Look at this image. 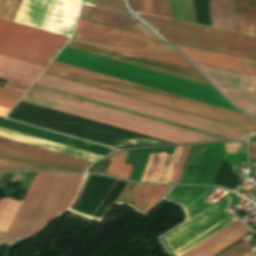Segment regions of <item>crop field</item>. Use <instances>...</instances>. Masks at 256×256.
I'll list each match as a JSON object with an SVG mask.
<instances>
[{
  "mask_svg": "<svg viewBox=\"0 0 256 256\" xmlns=\"http://www.w3.org/2000/svg\"><path fill=\"white\" fill-rule=\"evenodd\" d=\"M59 92L60 91H58V90H54L51 88H47V87H43V86L34 84L31 87V89L28 91V93L35 95L33 97V99L31 101H29V100L22 98L21 100L29 102V103L37 104L40 106H44L47 108H51L54 110L62 111L65 113H69L72 115L81 116V117H85V118L99 121L102 123L110 124L113 126H117L120 128H124L127 130H131L134 132H138V133L145 134L148 136L156 137V138L163 139V140L170 141V142L177 143V144H190V143L217 142V141L232 140L229 138H225V137L222 138L221 136H218V135H214V134L200 131L197 129L189 128V127L175 124L172 122L164 121V120L150 117L147 115H143L140 113L132 112V111L118 108L115 106H111L108 104H104V103H100V102L93 101L90 99H86L83 97L75 96V95L68 94L65 92H60V94H64L67 96H71L74 98L92 102L95 104L103 105L106 107H110L113 109H117L120 111H124L127 113H131L134 115H138L141 117H145L148 119L166 123L169 125H173L176 127H180V128H184V129L198 132L201 134H205L208 136H212L215 138H219V139L222 138L221 140L215 139L212 137H208V136L194 133L191 131H187L184 129L176 128L173 126H169L166 124H162L159 122H155L152 120H148L145 118L127 114V113L120 112L117 110L106 108L103 106L95 105L92 103H88L85 101H81L78 99L60 95V94H58Z\"/></svg>",
  "mask_w": 256,
  "mask_h": 256,
  "instance_id": "obj_1",
  "label": "crop field"
},
{
  "mask_svg": "<svg viewBox=\"0 0 256 256\" xmlns=\"http://www.w3.org/2000/svg\"><path fill=\"white\" fill-rule=\"evenodd\" d=\"M45 73L256 131V122L241 113L119 80L70 65L53 61Z\"/></svg>",
  "mask_w": 256,
  "mask_h": 256,
  "instance_id": "obj_2",
  "label": "crop field"
},
{
  "mask_svg": "<svg viewBox=\"0 0 256 256\" xmlns=\"http://www.w3.org/2000/svg\"><path fill=\"white\" fill-rule=\"evenodd\" d=\"M7 117L119 149L176 145L22 101Z\"/></svg>",
  "mask_w": 256,
  "mask_h": 256,
  "instance_id": "obj_3",
  "label": "crop field"
},
{
  "mask_svg": "<svg viewBox=\"0 0 256 256\" xmlns=\"http://www.w3.org/2000/svg\"><path fill=\"white\" fill-rule=\"evenodd\" d=\"M83 174L37 173L8 233L35 234L66 209Z\"/></svg>",
  "mask_w": 256,
  "mask_h": 256,
  "instance_id": "obj_4",
  "label": "crop field"
},
{
  "mask_svg": "<svg viewBox=\"0 0 256 256\" xmlns=\"http://www.w3.org/2000/svg\"><path fill=\"white\" fill-rule=\"evenodd\" d=\"M53 77L55 78L52 82L39 78L36 84L60 89L236 140L248 139L255 134L254 132L172 110L127 96L119 95L74 81L66 80L56 76Z\"/></svg>",
  "mask_w": 256,
  "mask_h": 256,
  "instance_id": "obj_5",
  "label": "crop field"
},
{
  "mask_svg": "<svg viewBox=\"0 0 256 256\" xmlns=\"http://www.w3.org/2000/svg\"><path fill=\"white\" fill-rule=\"evenodd\" d=\"M143 17L153 25L159 27L161 31L159 30V28L158 30L162 32L165 36H167L175 44L214 52L215 41H216V49H217V52L219 53L256 60V38L214 30L215 41H214V47H213V42L199 39V38H205V39L213 40L212 32H211V29L209 28H204V27H199V26H194V25H189L184 23H178V22H173V21H168V20H163V19H158V18H153L148 16H143ZM152 24L150 25L153 27ZM172 30L185 32L189 34H195V35H198L199 38L193 39V38H190L191 35L189 34L175 32ZM162 33L160 34L163 35ZM214 33H213V37H214ZM167 37L165 38L169 40ZM191 37L196 38V36L194 35H192ZM216 49H215V52H216Z\"/></svg>",
  "mask_w": 256,
  "mask_h": 256,
  "instance_id": "obj_6",
  "label": "crop field"
},
{
  "mask_svg": "<svg viewBox=\"0 0 256 256\" xmlns=\"http://www.w3.org/2000/svg\"><path fill=\"white\" fill-rule=\"evenodd\" d=\"M69 38L0 19V54L47 67ZM57 55V54H56ZM55 55V56H56Z\"/></svg>",
  "mask_w": 256,
  "mask_h": 256,
  "instance_id": "obj_7",
  "label": "crop field"
},
{
  "mask_svg": "<svg viewBox=\"0 0 256 256\" xmlns=\"http://www.w3.org/2000/svg\"><path fill=\"white\" fill-rule=\"evenodd\" d=\"M75 39L83 41V42H87V43H90V44H94V45H97V46H101V47H104V48L119 51V52H122V53H126V54H129V55H133V56H136V57H140V58H143V59H147V60H150V61H154V62H157V63H161V64H164V65L172 66V67H175V68H179V69H182V70H186V71H189V72L199 74L188 63H184V62H181V61H177V60H174V59H170V58L163 57V56H160V55H156V54H153V53H149V52H146V51L135 49V48H132V47L121 45V44L114 43V42H111V41H107V40L100 39V38H97V37H93V36L86 35V34H83V33L78 32ZM76 40H74L72 42L70 47H74V48L81 49V50H84V51H88V52H91V53L99 54V55H102V56H106V57H109V58H113V59H116V60H120V61H123V62L130 63V64H134V65H137V66L145 67V68H148V69H152V70H155V71H159V72H162V73H166V74H169V75H173V76H176V77H180V78H183V79H187V80H191V81H194V82H198V83H201V84L211 86L200 75H196V74L189 73V72H186V71H182V70H179V69H175V68H172V67L164 66V65H161V64H157V63H154V62H150V61H147V60H143V59H140V58H136V57H133V56H129V55L122 54V53L115 52V51L108 50V49H104V48H101V47H97V46L90 45V44L83 43V42L76 41Z\"/></svg>",
  "mask_w": 256,
  "mask_h": 256,
  "instance_id": "obj_8",
  "label": "crop field"
},
{
  "mask_svg": "<svg viewBox=\"0 0 256 256\" xmlns=\"http://www.w3.org/2000/svg\"><path fill=\"white\" fill-rule=\"evenodd\" d=\"M80 0H23L15 22L70 36Z\"/></svg>",
  "mask_w": 256,
  "mask_h": 256,
  "instance_id": "obj_9",
  "label": "crop field"
},
{
  "mask_svg": "<svg viewBox=\"0 0 256 256\" xmlns=\"http://www.w3.org/2000/svg\"><path fill=\"white\" fill-rule=\"evenodd\" d=\"M228 199L182 225L163 238L169 251L179 256L236 221L225 211Z\"/></svg>",
  "mask_w": 256,
  "mask_h": 256,
  "instance_id": "obj_10",
  "label": "crop field"
},
{
  "mask_svg": "<svg viewBox=\"0 0 256 256\" xmlns=\"http://www.w3.org/2000/svg\"><path fill=\"white\" fill-rule=\"evenodd\" d=\"M198 67L234 104L256 116V77Z\"/></svg>",
  "mask_w": 256,
  "mask_h": 256,
  "instance_id": "obj_11",
  "label": "crop field"
},
{
  "mask_svg": "<svg viewBox=\"0 0 256 256\" xmlns=\"http://www.w3.org/2000/svg\"><path fill=\"white\" fill-rule=\"evenodd\" d=\"M76 31L187 62L167 44L156 40L148 39L80 19L78 21Z\"/></svg>",
  "mask_w": 256,
  "mask_h": 256,
  "instance_id": "obj_12",
  "label": "crop field"
},
{
  "mask_svg": "<svg viewBox=\"0 0 256 256\" xmlns=\"http://www.w3.org/2000/svg\"><path fill=\"white\" fill-rule=\"evenodd\" d=\"M39 67V65L0 55V77L9 80L4 88L25 93L45 69L41 66L38 72Z\"/></svg>",
  "mask_w": 256,
  "mask_h": 256,
  "instance_id": "obj_13",
  "label": "crop field"
},
{
  "mask_svg": "<svg viewBox=\"0 0 256 256\" xmlns=\"http://www.w3.org/2000/svg\"><path fill=\"white\" fill-rule=\"evenodd\" d=\"M175 46V45H174ZM177 47L181 52H183L189 59H191L194 64L223 69V70H229L249 75H255L256 76V62L175 46Z\"/></svg>",
  "mask_w": 256,
  "mask_h": 256,
  "instance_id": "obj_14",
  "label": "crop field"
},
{
  "mask_svg": "<svg viewBox=\"0 0 256 256\" xmlns=\"http://www.w3.org/2000/svg\"><path fill=\"white\" fill-rule=\"evenodd\" d=\"M213 190L215 189L207 187L174 186L165 199L182 205L188 215V220H190L232 194L231 192H228V194L219 201L206 204L204 197Z\"/></svg>",
  "mask_w": 256,
  "mask_h": 256,
  "instance_id": "obj_15",
  "label": "crop field"
},
{
  "mask_svg": "<svg viewBox=\"0 0 256 256\" xmlns=\"http://www.w3.org/2000/svg\"><path fill=\"white\" fill-rule=\"evenodd\" d=\"M79 17L159 39L157 36L151 35L150 31L140 25L134 18L107 12L84 4L82 5Z\"/></svg>",
  "mask_w": 256,
  "mask_h": 256,
  "instance_id": "obj_16",
  "label": "crop field"
},
{
  "mask_svg": "<svg viewBox=\"0 0 256 256\" xmlns=\"http://www.w3.org/2000/svg\"><path fill=\"white\" fill-rule=\"evenodd\" d=\"M0 146L15 150V151L23 152L26 154H30L33 156H37L40 158H44L47 160H51L54 162H58L61 164L76 167L79 169H83V170H85L87 167L90 166V164H92V162H88V161L81 160L78 158L70 157L67 155H63V154L49 151L46 149L38 148V147L24 144L21 142H17L14 140L6 139L3 137H0Z\"/></svg>",
  "mask_w": 256,
  "mask_h": 256,
  "instance_id": "obj_17",
  "label": "crop field"
},
{
  "mask_svg": "<svg viewBox=\"0 0 256 256\" xmlns=\"http://www.w3.org/2000/svg\"><path fill=\"white\" fill-rule=\"evenodd\" d=\"M0 136L10 138V139H14V140H17V141H21V142H24V143H28V144H31V145H35V146H38V147L46 148V149L53 150V151H56V152H60V153H63V154H67V155H70V156L78 157V158L85 159V160L92 161V162H94V161L103 157V156H99V155H96V154H92V153H88V152H85V151H81V150L73 149V148H70V147L62 146V145H59V144H55V143H52V142H48V141H45V140H41V139H38V138L23 135V134H20V133H16V132H13V131L5 130V129H2V128H0Z\"/></svg>",
  "mask_w": 256,
  "mask_h": 256,
  "instance_id": "obj_18",
  "label": "crop field"
},
{
  "mask_svg": "<svg viewBox=\"0 0 256 256\" xmlns=\"http://www.w3.org/2000/svg\"><path fill=\"white\" fill-rule=\"evenodd\" d=\"M167 191L162 186L136 184L124 203L146 214Z\"/></svg>",
  "mask_w": 256,
  "mask_h": 256,
  "instance_id": "obj_19",
  "label": "crop field"
},
{
  "mask_svg": "<svg viewBox=\"0 0 256 256\" xmlns=\"http://www.w3.org/2000/svg\"><path fill=\"white\" fill-rule=\"evenodd\" d=\"M0 159L37 168L40 170H76L83 171L76 168L68 167L51 161L43 160L33 156L25 155L8 149L0 148Z\"/></svg>",
  "mask_w": 256,
  "mask_h": 256,
  "instance_id": "obj_20",
  "label": "crop field"
},
{
  "mask_svg": "<svg viewBox=\"0 0 256 256\" xmlns=\"http://www.w3.org/2000/svg\"><path fill=\"white\" fill-rule=\"evenodd\" d=\"M211 10L213 27L236 31L233 0H211Z\"/></svg>",
  "mask_w": 256,
  "mask_h": 256,
  "instance_id": "obj_21",
  "label": "crop field"
},
{
  "mask_svg": "<svg viewBox=\"0 0 256 256\" xmlns=\"http://www.w3.org/2000/svg\"><path fill=\"white\" fill-rule=\"evenodd\" d=\"M236 26L237 31L256 35V7H248L247 0H244L245 16H246V28H245V16L243 0H234Z\"/></svg>",
  "mask_w": 256,
  "mask_h": 256,
  "instance_id": "obj_22",
  "label": "crop field"
},
{
  "mask_svg": "<svg viewBox=\"0 0 256 256\" xmlns=\"http://www.w3.org/2000/svg\"><path fill=\"white\" fill-rule=\"evenodd\" d=\"M249 233L250 229L243 224L194 256H213Z\"/></svg>",
  "mask_w": 256,
  "mask_h": 256,
  "instance_id": "obj_23",
  "label": "crop field"
},
{
  "mask_svg": "<svg viewBox=\"0 0 256 256\" xmlns=\"http://www.w3.org/2000/svg\"><path fill=\"white\" fill-rule=\"evenodd\" d=\"M127 1L132 7L133 11H137V12L138 10L143 11L142 0H127ZM143 4H144V12L139 11L141 13L150 14V6H151V13L172 17L170 0H150V6H149V0H143ZM159 15H156V16H159ZM164 16H160V17H164ZM170 17H165V18H170Z\"/></svg>",
  "mask_w": 256,
  "mask_h": 256,
  "instance_id": "obj_24",
  "label": "crop field"
},
{
  "mask_svg": "<svg viewBox=\"0 0 256 256\" xmlns=\"http://www.w3.org/2000/svg\"><path fill=\"white\" fill-rule=\"evenodd\" d=\"M21 202L12 198L0 199V231L7 232Z\"/></svg>",
  "mask_w": 256,
  "mask_h": 256,
  "instance_id": "obj_25",
  "label": "crop field"
},
{
  "mask_svg": "<svg viewBox=\"0 0 256 256\" xmlns=\"http://www.w3.org/2000/svg\"><path fill=\"white\" fill-rule=\"evenodd\" d=\"M127 152L128 151H123L112 157L110 165L106 172L107 174H111L126 179L129 178L133 165L124 164Z\"/></svg>",
  "mask_w": 256,
  "mask_h": 256,
  "instance_id": "obj_26",
  "label": "crop field"
},
{
  "mask_svg": "<svg viewBox=\"0 0 256 256\" xmlns=\"http://www.w3.org/2000/svg\"><path fill=\"white\" fill-rule=\"evenodd\" d=\"M83 3L92 6L96 4V7L130 16L125 10L122 0H95V4L94 0H84Z\"/></svg>",
  "mask_w": 256,
  "mask_h": 256,
  "instance_id": "obj_27",
  "label": "crop field"
},
{
  "mask_svg": "<svg viewBox=\"0 0 256 256\" xmlns=\"http://www.w3.org/2000/svg\"><path fill=\"white\" fill-rule=\"evenodd\" d=\"M22 94L0 88V105L12 108ZM0 106V116L4 117L10 108Z\"/></svg>",
  "mask_w": 256,
  "mask_h": 256,
  "instance_id": "obj_28",
  "label": "crop field"
},
{
  "mask_svg": "<svg viewBox=\"0 0 256 256\" xmlns=\"http://www.w3.org/2000/svg\"><path fill=\"white\" fill-rule=\"evenodd\" d=\"M241 223L239 220L234 222L233 224H231L230 226L226 227L225 229L221 230L220 232H218L217 234L213 235L212 237H210L209 239L205 240L204 242H202L201 244H199L198 246L194 247L193 249H191L190 251H188L187 253H185L182 256H192L195 253H197L198 251L202 250L203 248H205L206 246L210 245L211 243H213L214 241L218 240L219 238H221L222 236L226 235L227 233H229L230 231H232L233 229L237 228L238 226H240Z\"/></svg>",
  "mask_w": 256,
  "mask_h": 256,
  "instance_id": "obj_29",
  "label": "crop field"
},
{
  "mask_svg": "<svg viewBox=\"0 0 256 256\" xmlns=\"http://www.w3.org/2000/svg\"><path fill=\"white\" fill-rule=\"evenodd\" d=\"M22 0H0V17L14 20Z\"/></svg>",
  "mask_w": 256,
  "mask_h": 256,
  "instance_id": "obj_30",
  "label": "crop field"
},
{
  "mask_svg": "<svg viewBox=\"0 0 256 256\" xmlns=\"http://www.w3.org/2000/svg\"><path fill=\"white\" fill-rule=\"evenodd\" d=\"M249 251H251L250 244L243 241L220 256H242Z\"/></svg>",
  "mask_w": 256,
  "mask_h": 256,
  "instance_id": "obj_31",
  "label": "crop field"
},
{
  "mask_svg": "<svg viewBox=\"0 0 256 256\" xmlns=\"http://www.w3.org/2000/svg\"><path fill=\"white\" fill-rule=\"evenodd\" d=\"M189 147L190 146L184 147L183 152H182L181 157H180V160H179V163H178V166L176 168V171H175V174H174V177H173L171 183H176V184L178 183V180H179V177H180V174H181V171H182V168H183V165H184V162H185V159H186Z\"/></svg>",
  "mask_w": 256,
  "mask_h": 256,
  "instance_id": "obj_32",
  "label": "crop field"
},
{
  "mask_svg": "<svg viewBox=\"0 0 256 256\" xmlns=\"http://www.w3.org/2000/svg\"><path fill=\"white\" fill-rule=\"evenodd\" d=\"M19 239H21V237L11 236L9 234L0 232V244H12Z\"/></svg>",
  "mask_w": 256,
  "mask_h": 256,
  "instance_id": "obj_33",
  "label": "crop field"
},
{
  "mask_svg": "<svg viewBox=\"0 0 256 256\" xmlns=\"http://www.w3.org/2000/svg\"><path fill=\"white\" fill-rule=\"evenodd\" d=\"M256 158V143L250 144V159Z\"/></svg>",
  "mask_w": 256,
  "mask_h": 256,
  "instance_id": "obj_34",
  "label": "crop field"
},
{
  "mask_svg": "<svg viewBox=\"0 0 256 256\" xmlns=\"http://www.w3.org/2000/svg\"><path fill=\"white\" fill-rule=\"evenodd\" d=\"M0 164L7 165V166H12V167H16V168H21V169L32 170V169H29V168H25V167L18 166V165H15V164H12V163H8V162H5V161H1V160H0Z\"/></svg>",
  "mask_w": 256,
  "mask_h": 256,
  "instance_id": "obj_35",
  "label": "crop field"
},
{
  "mask_svg": "<svg viewBox=\"0 0 256 256\" xmlns=\"http://www.w3.org/2000/svg\"><path fill=\"white\" fill-rule=\"evenodd\" d=\"M16 168H12V167H7V166H2L0 165V170H15Z\"/></svg>",
  "mask_w": 256,
  "mask_h": 256,
  "instance_id": "obj_36",
  "label": "crop field"
},
{
  "mask_svg": "<svg viewBox=\"0 0 256 256\" xmlns=\"http://www.w3.org/2000/svg\"><path fill=\"white\" fill-rule=\"evenodd\" d=\"M245 256H251V252H250V253H248V254H246Z\"/></svg>",
  "mask_w": 256,
  "mask_h": 256,
  "instance_id": "obj_37",
  "label": "crop field"
},
{
  "mask_svg": "<svg viewBox=\"0 0 256 256\" xmlns=\"http://www.w3.org/2000/svg\"><path fill=\"white\" fill-rule=\"evenodd\" d=\"M128 184H129V183H128ZM127 186H128V185H127ZM127 186H126V187H127ZM125 189H126V188H125ZM125 189H124V190H125ZM122 193H123V192H122ZM79 200H80V199H79ZM117 200H118V199H117ZM115 203H116V202H115ZM75 207H76V206H75ZM75 207H74V208H75Z\"/></svg>",
  "mask_w": 256,
  "mask_h": 256,
  "instance_id": "obj_38",
  "label": "crop field"
}]
</instances>
